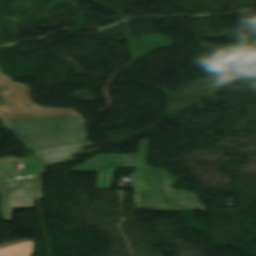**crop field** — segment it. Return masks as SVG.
<instances>
[{
  "label": "crop field",
  "instance_id": "obj_7",
  "mask_svg": "<svg viewBox=\"0 0 256 256\" xmlns=\"http://www.w3.org/2000/svg\"><path fill=\"white\" fill-rule=\"evenodd\" d=\"M0 184H1V185H0V189H2V183H1V179H0Z\"/></svg>",
  "mask_w": 256,
  "mask_h": 256
},
{
  "label": "crop field",
  "instance_id": "obj_5",
  "mask_svg": "<svg viewBox=\"0 0 256 256\" xmlns=\"http://www.w3.org/2000/svg\"><path fill=\"white\" fill-rule=\"evenodd\" d=\"M92 145H94V144H92V143H90V142H85V143H80V144H74V145H69V146H64V147H58V148H53V149H48V150L37 151V152H34V153H35V154H39V153L48 152V151H53V150L62 149V148L81 146V147H78V148H73V149H68V150H63V151H59V152H54V153H49V154H45V155H40V156H38L39 159L43 162V161H46V160L55 159V158H60V157H64V156L82 154V153H87V152H92V151H98V150H99V149H95V150L86 151V152H83V151L81 150L83 147L92 146ZM77 149H80V151L73 152V153H68V154H63V155H59V156H54V157H49V158H44V159H41V158H40V157H43V156H49V155L60 154V153H64V152H68V151H73V150H77ZM74 160H75V159H74L72 156H70V157H66V158H62V159H57V160H53V161H47V162H43V163H44L46 166H48V165H52V164L63 163V162L74 161Z\"/></svg>",
  "mask_w": 256,
  "mask_h": 256
},
{
  "label": "crop field",
  "instance_id": "obj_1",
  "mask_svg": "<svg viewBox=\"0 0 256 256\" xmlns=\"http://www.w3.org/2000/svg\"><path fill=\"white\" fill-rule=\"evenodd\" d=\"M0 119L31 150L87 141L84 118L73 109L41 107L31 101L29 86L0 70Z\"/></svg>",
  "mask_w": 256,
  "mask_h": 256
},
{
  "label": "crop field",
  "instance_id": "obj_2",
  "mask_svg": "<svg viewBox=\"0 0 256 256\" xmlns=\"http://www.w3.org/2000/svg\"><path fill=\"white\" fill-rule=\"evenodd\" d=\"M149 140H140L137 155H99L69 171L100 172L96 189H110L117 167H135L131 174L137 208L156 211H204L192 192L174 191L179 179L162 168L146 165Z\"/></svg>",
  "mask_w": 256,
  "mask_h": 256
},
{
  "label": "crop field",
  "instance_id": "obj_6",
  "mask_svg": "<svg viewBox=\"0 0 256 256\" xmlns=\"http://www.w3.org/2000/svg\"><path fill=\"white\" fill-rule=\"evenodd\" d=\"M35 243L30 240L0 248V256H31Z\"/></svg>",
  "mask_w": 256,
  "mask_h": 256
},
{
  "label": "crop field",
  "instance_id": "obj_3",
  "mask_svg": "<svg viewBox=\"0 0 256 256\" xmlns=\"http://www.w3.org/2000/svg\"><path fill=\"white\" fill-rule=\"evenodd\" d=\"M5 210L33 207L32 200L41 199V178L3 180Z\"/></svg>",
  "mask_w": 256,
  "mask_h": 256
},
{
  "label": "crop field",
  "instance_id": "obj_4",
  "mask_svg": "<svg viewBox=\"0 0 256 256\" xmlns=\"http://www.w3.org/2000/svg\"><path fill=\"white\" fill-rule=\"evenodd\" d=\"M17 162L19 161L1 164L0 177L5 179V178H11L15 176L32 175L40 172L45 168L35 157H33L30 159L22 160L23 164L21 165L19 171L15 173L13 166Z\"/></svg>",
  "mask_w": 256,
  "mask_h": 256
}]
</instances>
